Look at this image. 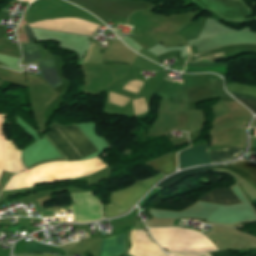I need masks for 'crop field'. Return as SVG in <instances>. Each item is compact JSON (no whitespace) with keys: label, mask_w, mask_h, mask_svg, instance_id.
<instances>
[{"label":"crop field","mask_w":256,"mask_h":256,"mask_svg":"<svg viewBox=\"0 0 256 256\" xmlns=\"http://www.w3.org/2000/svg\"><path fill=\"white\" fill-rule=\"evenodd\" d=\"M50 131L71 152V154L77 160L82 159L98 151L96 147L91 143V141L85 136V134L74 125L62 127L54 124L52 125ZM50 131L46 135V137L64 156V158L67 161L76 160Z\"/></svg>","instance_id":"obj_1"},{"label":"crop field","mask_w":256,"mask_h":256,"mask_svg":"<svg viewBox=\"0 0 256 256\" xmlns=\"http://www.w3.org/2000/svg\"><path fill=\"white\" fill-rule=\"evenodd\" d=\"M163 175L138 182L133 186L111 195L114 206L106 207V217H113L127 212L143 196V194Z\"/></svg>","instance_id":"obj_2"},{"label":"crop field","mask_w":256,"mask_h":256,"mask_svg":"<svg viewBox=\"0 0 256 256\" xmlns=\"http://www.w3.org/2000/svg\"><path fill=\"white\" fill-rule=\"evenodd\" d=\"M29 26L91 35L92 32L97 29L98 24H94L77 18H66L34 22L30 23Z\"/></svg>","instance_id":"obj_3"},{"label":"crop field","mask_w":256,"mask_h":256,"mask_svg":"<svg viewBox=\"0 0 256 256\" xmlns=\"http://www.w3.org/2000/svg\"><path fill=\"white\" fill-rule=\"evenodd\" d=\"M210 163L208 157V144L190 148L179 155L180 168H185L193 165Z\"/></svg>","instance_id":"obj_4"},{"label":"crop field","mask_w":256,"mask_h":256,"mask_svg":"<svg viewBox=\"0 0 256 256\" xmlns=\"http://www.w3.org/2000/svg\"><path fill=\"white\" fill-rule=\"evenodd\" d=\"M227 169L248 181L256 189V164L253 162L237 161L228 166H216L214 170Z\"/></svg>","instance_id":"obj_5"},{"label":"crop field","mask_w":256,"mask_h":256,"mask_svg":"<svg viewBox=\"0 0 256 256\" xmlns=\"http://www.w3.org/2000/svg\"><path fill=\"white\" fill-rule=\"evenodd\" d=\"M198 201H208L217 204H233L239 202L231 187L216 189L204 195Z\"/></svg>","instance_id":"obj_6"},{"label":"crop field","mask_w":256,"mask_h":256,"mask_svg":"<svg viewBox=\"0 0 256 256\" xmlns=\"http://www.w3.org/2000/svg\"><path fill=\"white\" fill-rule=\"evenodd\" d=\"M124 234L103 239L100 256H114L123 252Z\"/></svg>","instance_id":"obj_7"},{"label":"crop field","mask_w":256,"mask_h":256,"mask_svg":"<svg viewBox=\"0 0 256 256\" xmlns=\"http://www.w3.org/2000/svg\"><path fill=\"white\" fill-rule=\"evenodd\" d=\"M39 65H40L42 77L48 81L49 85L56 87L61 83L56 74L53 59L41 60L39 61Z\"/></svg>","instance_id":"obj_8"},{"label":"crop field","mask_w":256,"mask_h":256,"mask_svg":"<svg viewBox=\"0 0 256 256\" xmlns=\"http://www.w3.org/2000/svg\"><path fill=\"white\" fill-rule=\"evenodd\" d=\"M211 159L213 163L216 162H223V161H230L235 158L236 156L241 155L243 149L238 147H231L223 150H209Z\"/></svg>","instance_id":"obj_9"},{"label":"crop field","mask_w":256,"mask_h":256,"mask_svg":"<svg viewBox=\"0 0 256 256\" xmlns=\"http://www.w3.org/2000/svg\"><path fill=\"white\" fill-rule=\"evenodd\" d=\"M148 165L162 171L165 174L175 171L176 153L166 155L157 159L154 162L147 163Z\"/></svg>","instance_id":"obj_10"},{"label":"crop field","mask_w":256,"mask_h":256,"mask_svg":"<svg viewBox=\"0 0 256 256\" xmlns=\"http://www.w3.org/2000/svg\"><path fill=\"white\" fill-rule=\"evenodd\" d=\"M26 35L29 45L21 46L24 53L25 61L28 62L35 59H41L35 39L33 37L32 30L29 26H27Z\"/></svg>","instance_id":"obj_11"},{"label":"crop field","mask_w":256,"mask_h":256,"mask_svg":"<svg viewBox=\"0 0 256 256\" xmlns=\"http://www.w3.org/2000/svg\"><path fill=\"white\" fill-rule=\"evenodd\" d=\"M212 169H213V167L187 170V171L181 172L179 174H175V175L170 176L169 178L165 179L163 182H161L157 186L160 187V188L170 187V186L174 185L175 183L181 181L182 179H184V178H186L190 175L202 173V172L212 170Z\"/></svg>","instance_id":"obj_12"},{"label":"crop field","mask_w":256,"mask_h":256,"mask_svg":"<svg viewBox=\"0 0 256 256\" xmlns=\"http://www.w3.org/2000/svg\"><path fill=\"white\" fill-rule=\"evenodd\" d=\"M27 252H57L60 253L57 249L53 248L50 245L40 244L38 242H32L23 245Z\"/></svg>","instance_id":"obj_13"},{"label":"crop field","mask_w":256,"mask_h":256,"mask_svg":"<svg viewBox=\"0 0 256 256\" xmlns=\"http://www.w3.org/2000/svg\"><path fill=\"white\" fill-rule=\"evenodd\" d=\"M232 95L235 96L238 99L256 101V97H253V96H244V95H237V94H232ZM239 101L242 102L246 107L251 109L253 111V113L256 114V102L243 101V100H239Z\"/></svg>","instance_id":"obj_14"},{"label":"crop field","mask_w":256,"mask_h":256,"mask_svg":"<svg viewBox=\"0 0 256 256\" xmlns=\"http://www.w3.org/2000/svg\"><path fill=\"white\" fill-rule=\"evenodd\" d=\"M161 86H174V83L173 81L163 82ZM164 93H175L174 87H161L156 95H164Z\"/></svg>","instance_id":"obj_15"},{"label":"crop field","mask_w":256,"mask_h":256,"mask_svg":"<svg viewBox=\"0 0 256 256\" xmlns=\"http://www.w3.org/2000/svg\"><path fill=\"white\" fill-rule=\"evenodd\" d=\"M188 66H201V67H215V61H196V62H187Z\"/></svg>","instance_id":"obj_16"},{"label":"crop field","mask_w":256,"mask_h":256,"mask_svg":"<svg viewBox=\"0 0 256 256\" xmlns=\"http://www.w3.org/2000/svg\"><path fill=\"white\" fill-rule=\"evenodd\" d=\"M169 256H210L208 254H190V253H173V254H168Z\"/></svg>","instance_id":"obj_17"},{"label":"crop field","mask_w":256,"mask_h":256,"mask_svg":"<svg viewBox=\"0 0 256 256\" xmlns=\"http://www.w3.org/2000/svg\"><path fill=\"white\" fill-rule=\"evenodd\" d=\"M212 256H232L227 250L211 252Z\"/></svg>","instance_id":"obj_18"},{"label":"crop field","mask_w":256,"mask_h":256,"mask_svg":"<svg viewBox=\"0 0 256 256\" xmlns=\"http://www.w3.org/2000/svg\"><path fill=\"white\" fill-rule=\"evenodd\" d=\"M188 51H189V54H191V53H192V51H191V47H190V46H188Z\"/></svg>","instance_id":"obj_19"},{"label":"crop field","mask_w":256,"mask_h":256,"mask_svg":"<svg viewBox=\"0 0 256 256\" xmlns=\"http://www.w3.org/2000/svg\"><path fill=\"white\" fill-rule=\"evenodd\" d=\"M38 256H53V255H38Z\"/></svg>","instance_id":"obj_20"},{"label":"crop field","mask_w":256,"mask_h":256,"mask_svg":"<svg viewBox=\"0 0 256 256\" xmlns=\"http://www.w3.org/2000/svg\"><path fill=\"white\" fill-rule=\"evenodd\" d=\"M84 256H87L86 254H83Z\"/></svg>","instance_id":"obj_21"},{"label":"crop field","mask_w":256,"mask_h":256,"mask_svg":"<svg viewBox=\"0 0 256 256\" xmlns=\"http://www.w3.org/2000/svg\"><path fill=\"white\" fill-rule=\"evenodd\" d=\"M174 58H176V57H174Z\"/></svg>","instance_id":"obj_22"}]
</instances>
